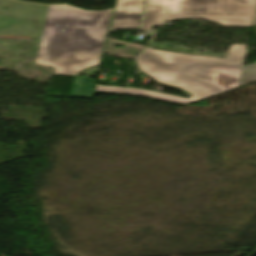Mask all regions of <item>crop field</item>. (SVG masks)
<instances>
[{
	"instance_id": "8a807250",
	"label": "crop field",
	"mask_w": 256,
	"mask_h": 256,
	"mask_svg": "<svg viewBox=\"0 0 256 256\" xmlns=\"http://www.w3.org/2000/svg\"><path fill=\"white\" fill-rule=\"evenodd\" d=\"M112 11L0 0V35L41 39L36 64L76 75L99 65Z\"/></svg>"
},
{
	"instance_id": "ac0d7876",
	"label": "crop field",
	"mask_w": 256,
	"mask_h": 256,
	"mask_svg": "<svg viewBox=\"0 0 256 256\" xmlns=\"http://www.w3.org/2000/svg\"><path fill=\"white\" fill-rule=\"evenodd\" d=\"M248 45H234L228 59L188 55L148 47L137 59L140 70L161 84L179 87L190 99L162 93L97 85L96 91L142 95L187 104L238 88Z\"/></svg>"
},
{
	"instance_id": "34b2d1b8",
	"label": "crop field",
	"mask_w": 256,
	"mask_h": 256,
	"mask_svg": "<svg viewBox=\"0 0 256 256\" xmlns=\"http://www.w3.org/2000/svg\"><path fill=\"white\" fill-rule=\"evenodd\" d=\"M256 0H147L142 30L164 20L206 19L224 26H251Z\"/></svg>"
},
{
	"instance_id": "412701ff",
	"label": "crop field",
	"mask_w": 256,
	"mask_h": 256,
	"mask_svg": "<svg viewBox=\"0 0 256 256\" xmlns=\"http://www.w3.org/2000/svg\"><path fill=\"white\" fill-rule=\"evenodd\" d=\"M143 0H119L111 32L116 29H137Z\"/></svg>"
},
{
	"instance_id": "f4fd0767",
	"label": "crop field",
	"mask_w": 256,
	"mask_h": 256,
	"mask_svg": "<svg viewBox=\"0 0 256 256\" xmlns=\"http://www.w3.org/2000/svg\"><path fill=\"white\" fill-rule=\"evenodd\" d=\"M116 44H124L125 47L118 49L114 47ZM144 48V46L108 39L105 53L134 59Z\"/></svg>"
},
{
	"instance_id": "dd49c442",
	"label": "crop field",
	"mask_w": 256,
	"mask_h": 256,
	"mask_svg": "<svg viewBox=\"0 0 256 256\" xmlns=\"http://www.w3.org/2000/svg\"><path fill=\"white\" fill-rule=\"evenodd\" d=\"M253 25H256V14ZM254 82H256V63L244 67L240 87Z\"/></svg>"
}]
</instances>
